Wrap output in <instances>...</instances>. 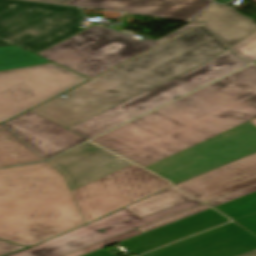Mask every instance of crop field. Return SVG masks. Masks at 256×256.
Here are the masks:
<instances>
[{"label": "crop field", "instance_id": "1", "mask_svg": "<svg viewBox=\"0 0 256 256\" xmlns=\"http://www.w3.org/2000/svg\"><path fill=\"white\" fill-rule=\"evenodd\" d=\"M254 117L251 65L91 141L146 167Z\"/></svg>", "mask_w": 256, "mask_h": 256}, {"label": "crop field", "instance_id": "2", "mask_svg": "<svg viewBox=\"0 0 256 256\" xmlns=\"http://www.w3.org/2000/svg\"><path fill=\"white\" fill-rule=\"evenodd\" d=\"M227 49L203 25L31 111L68 128Z\"/></svg>", "mask_w": 256, "mask_h": 256}, {"label": "crop field", "instance_id": "3", "mask_svg": "<svg viewBox=\"0 0 256 256\" xmlns=\"http://www.w3.org/2000/svg\"><path fill=\"white\" fill-rule=\"evenodd\" d=\"M81 224L63 175L50 164L0 170V239L30 247Z\"/></svg>", "mask_w": 256, "mask_h": 256}, {"label": "crop field", "instance_id": "4", "mask_svg": "<svg viewBox=\"0 0 256 256\" xmlns=\"http://www.w3.org/2000/svg\"><path fill=\"white\" fill-rule=\"evenodd\" d=\"M246 65L227 49L202 66L68 129L90 139Z\"/></svg>", "mask_w": 256, "mask_h": 256}, {"label": "crop field", "instance_id": "5", "mask_svg": "<svg viewBox=\"0 0 256 256\" xmlns=\"http://www.w3.org/2000/svg\"><path fill=\"white\" fill-rule=\"evenodd\" d=\"M197 25L190 23L156 42H140L94 25L37 55L92 78Z\"/></svg>", "mask_w": 256, "mask_h": 256}, {"label": "crop field", "instance_id": "6", "mask_svg": "<svg viewBox=\"0 0 256 256\" xmlns=\"http://www.w3.org/2000/svg\"><path fill=\"white\" fill-rule=\"evenodd\" d=\"M77 8L0 0V47L19 45L38 53L82 30Z\"/></svg>", "mask_w": 256, "mask_h": 256}, {"label": "crop field", "instance_id": "7", "mask_svg": "<svg viewBox=\"0 0 256 256\" xmlns=\"http://www.w3.org/2000/svg\"><path fill=\"white\" fill-rule=\"evenodd\" d=\"M256 151V126L249 121L155 163L147 169L178 183Z\"/></svg>", "mask_w": 256, "mask_h": 256}, {"label": "crop field", "instance_id": "8", "mask_svg": "<svg viewBox=\"0 0 256 256\" xmlns=\"http://www.w3.org/2000/svg\"><path fill=\"white\" fill-rule=\"evenodd\" d=\"M168 186L169 182L131 164L71 193L86 223Z\"/></svg>", "mask_w": 256, "mask_h": 256}, {"label": "crop field", "instance_id": "9", "mask_svg": "<svg viewBox=\"0 0 256 256\" xmlns=\"http://www.w3.org/2000/svg\"><path fill=\"white\" fill-rule=\"evenodd\" d=\"M55 64L0 73V122H4L82 82Z\"/></svg>", "mask_w": 256, "mask_h": 256}, {"label": "crop field", "instance_id": "10", "mask_svg": "<svg viewBox=\"0 0 256 256\" xmlns=\"http://www.w3.org/2000/svg\"><path fill=\"white\" fill-rule=\"evenodd\" d=\"M197 205H201V203L192 200L143 219L124 208L85 226L8 256H62ZM100 229L105 231L101 232Z\"/></svg>", "mask_w": 256, "mask_h": 256}, {"label": "crop field", "instance_id": "11", "mask_svg": "<svg viewBox=\"0 0 256 256\" xmlns=\"http://www.w3.org/2000/svg\"><path fill=\"white\" fill-rule=\"evenodd\" d=\"M256 249V237L234 223L142 256H237Z\"/></svg>", "mask_w": 256, "mask_h": 256}, {"label": "crop field", "instance_id": "12", "mask_svg": "<svg viewBox=\"0 0 256 256\" xmlns=\"http://www.w3.org/2000/svg\"><path fill=\"white\" fill-rule=\"evenodd\" d=\"M48 163L64 175L70 190L131 164L90 142Z\"/></svg>", "mask_w": 256, "mask_h": 256}, {"label": "crop field", "instance_id": "13", "mask_svg": "<svg viewBox=\"0 0 256 256\" xmlns=\"http://www.w3.org/2000/svg\"><path fill=\"white\" fill-rule=\"evenodd\" d=\"M3 124L45 160L87 140L31 111Z\"/></svg>", "mask_w": 256, "mask_h": 256}, {"label": "crop field", "instance_id": "14", "mask_svg": "<svg viewBox=\"0 0 256 256\" xmlns=\"http://www.w3.org/2000/svg\"><path fill=\"white\" fill-rule=\"evenodd\" d=\"M256 184V154L176 185L203 202Z\"/></svg>", "mask_w": 256, "mask_h": 256}, {"label": "crop field", "instance_id": "15", "mask_svg": "<svg viewBox=\"0 0 256 256\" xmlns=\"http://www.w3.org/2000/svg\"><path fill=\"white\" fill-rule=\"evenodd\" d=\"M228 221L209 209L118 243L135 254H141Z\"/></svg>", "mask_w": 256, "mask_h": 256}, {"label": "crop field", "instance_id": "16", "mask_svg": "<svg viewBox=\"0 0 256 256\" xmlns=\"http://www.w3.org/2000/svg\"><path fill=\"white\" fill-rule=\"evenodd\" d=\"M213 0H72L66 4L187 20Z\"/></svg>", "mask_w": 256, "mask_h": 256}, {"label": "crop field", "instance_id": "17", "mask_svg": "<svg viewBox=\"0 0 256 256\" xmlns=\"http://www.w3.org/2000/svg\"><path fill=\"white\" fill-rule=\"evenodd\" d=\"M191 20L204 22L229 47L256 31L253 19L229 5L213 3Z\"/></svg>", "mask_w": 256, "mask_h": 256}, {"label": "crop field", "instance_id": "18", "mask_svg": "<svg viewBox=\"0 0 256 256\" xmlns=\"http://www.w3.org/2000/svg\"><path fill=\"white\" fill-rule=\"evenodd\" d=\"M43 160L3 124H0V168Z\"/></svg>", "mask_w": 256, "mask_h": 256}, {"label": "crop field", "instance_id": "19", "mask_svg": "<svg viewBox=\"0 0 256 256\" xmlns=\"http://www.w3.org/2000/svg\"><path fill=\"white\" fill-rule=\"evenodd\" d=\"M189 200L192 199L184 196L173 187H171L159 194L141 200L126 208L137 214L139 217L143 218L178 204L187 202Z\"/></svg>", "mask_w": 256, "mask_h": 256}, {"label": "crop field", "instance_id": "20", "mask_svg": "<svg viewBox=\"0 0 256 256\" xmlns=\"http://www.w3.org/2000/svg\"><path fill=\"white\" fill-rule=\"evenodd\" d=\"M215 208L256 234V193Z\"/></svg>", "mask_w": 256, "mask_h": 256}, {"label": "crop field", "instance_id": "21", "mask_svg": "<svg viewBox=\"0 0 256 256\" xmlns=\"http://www.w3.org/2000/svg\"><path fill=\"white\" fill-rule=\"evenodd\" d=\"M50 62L18 46L0 48V70Z\"/></svg>", "mask_w": 256, "mask_h": 256}, {"label": "crop field", "instance_id": "22", "mask_svg": "<svg viewBox=\"0 0 256 256\" xmlns=\"http://www.w3.org/2000/svg\"><path fill=\"white\" fill-rule=\"evenodd\" d=\"M242 59L256 61V32L230 47Z\"/></svg>", "mask_w": 256, "mask_h": 256}, {"label": "crop field", "instance_id": "23", "mask_svg": "<svg viewBox=\"0 0 256 256\" xmlns=\"http://www.w3.org/2000/svg\"><path fill=\"white\" fill-rule=\"evenodd\" d=\"M137 234H141V232H139L138 230L134 229L132 231L126 232L124 234L118 235L116 237H113V238H110L108 240L102 241L100 243L94 244L92 246L86 247L84 249L75 251V252L67 254L65 256H82V255H85V254L93 252L95 250L104 248V247H106L108 245H111V244H113L115 242L121 241L123 239L129 238V237L137 235Z\"/></svg>", "mask_w": 256, "mask_h": 256}, {"label": "crop field", "instance_id": "24", "mask_svg": "<svg viewBox=\"0 0 256 256\" xmlns=\"http://www.w3.org/2000/svg\"><path fill=\"white\" fill-rule=\"evenodd\" d=\"M205 209H209V207H207L205 205L197 206V207H194L192 209H189V210H186L184 212H181L179 214H176L174 216H171V217H168L166 219L160 220L158 222H155V223L146 225L144 227L138 228V230H140L141 232L144 233V232L149 231L151 229H154V228H157L159 226L168 224L170 222L176 221L178 219L184 218L186 216L192 215L194 213L200 212V211L205 210Z\"/></svg>", "mask_w": 256, "mask_h": 256}, {"label": "crop field", "instance_id": "25", "mask_svg": "<svg viewBox=\"0 0 256 256\" xmlns=\"http://www.w3.org/2000/svg\"><path fill=\"white\" fill-rule=\"evenodd\" d=\"M253 192H256V185L245 188V189H242V190H239L237 192H234V193H231V194H228V195H225V196H222L220 198L211 200V201L206 202V203L215 207V206H218L220 204L226 203L228 201L237 199L239 197L245 196V195L253 193Z\"/></svg>", "mask_w": 256, "mask_h": 256}, {"label": "crop field", "instance_id": "26", "mask_svg": "<svg viewBox=\"0 0 256 256\" xmlns=\"http://www.w3.org/2000/svg\"><path fill=\"white\" fill-rule=\"evenodd\" d=\"M23 248H25V247L10 243L7 241L0 240V256L10 253V252H14V251L23 249Z\"/></svg>", "mask_w": 256, "mask_h": 256}, {"label": "crop field", "instance_id": "27", "mask_svg": "<svg viewBox=\"0 0 256 256\" xmlns=\"http://www.w3.org/2000/svg\"><path fill=\"white\" fill-rule=\"evenodd\" d=\"M85 256H115V255L109 253L108 251H106L104 249H101V250L95 251L93 253L87 254Z\"/></svg>", "mask_w": 256, "mask_h": 256}, {"label": "crop field", "instance_id": "28", "mask_svg": "<svg viewBox=\"0 0 256 256\" xmlns=\"http://www.w3.org/2000/svg\"><path fill=\"white\" fill-rule=\"evenodd\" d=\"M240 256H256V250L248 252V253L240 255Z\"/></svg>", "mask_w": 256, "mask_h": 256}, {"label": "crop field", "instance_id": "29", "mask_svg": "<svg viewBox=\"0 0 256 256\" xmlns=\"http://www.w3.org/2000/svg\"><path fill=\"white\" fill-rule=\"evenodd\" d=\"M42 1H51V2H59V3H66L70 0H42Z\"/></svg>", "mask_w": 256, "mask_h": 256}, {"label": "crop field", "instance_id": "30", "mask_svg": "<svg viewBox=\"0 0 256 256\" xmlns=\"http://www.w3.org/2000/svg\"><path fill=\"white\" fill-rule=\"evenodd\" d=\"M253 124H255L256 125V119L255 120H253V121H251Z\"/></svg>", "mask_w": 256, "mask_h": 256}]
</instances>
